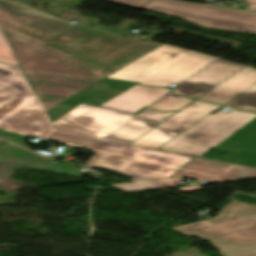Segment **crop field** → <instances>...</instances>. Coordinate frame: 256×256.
Wrapping results in <instances>:
<instances>
[{"instance_id": "14", "label": "crop field", "mask_w": 256, "mask_h": 256, "mask_svg": "<svg viewBox=\"0 0 256 256\" xmlns=\"http://www.w3.org/2000/svg\"><path fill=\"white\" fill-rule=\"evenodd\" d=\"M256 83V70L246 66L199 100L224 104Z\"/></svg>"}, {"instance_id": "22", "label": "crop field", "mask_w": 256, "mask_h": 256, "mask_svg": "<svg viewBox=\"0 0 256 256\" xmlns=\"http://www.w3.org/2000/svg\"><path fill=\"white\" fill-rule=\"evenodd\" d=\"M150 0H121L119 3L135 6L142 8L144 5H146Z\"/></svg>"}, {"instance_id": "19", "label": "crop field", "mask_w": 256, "mask_h": 256, "mask_svg": "<svg viewBox=\"0 0 256 256\" xmlns=\"http://www.w3.org/2000/svg\"><path fill=\"white\" fill-rule=\"evenodd\" d=\"M224 105L234 106L237 109L256 111V84Z\"/></svg>"}, {"instance_id": "13", "label": "crop field", "mask_w": 256, "mask_h": 256, "mask_svg": "<svg viewBox=\"0 0 256 256\" xmlns=\"http://www.w3.org/2000/svg\"><path fill=\"white\" fill-rule=\"evenodd\" d=\"M169 92V89L136 85L101 107L135 113Z\"/></svg>"}, {"instance_id": "26", "label": "crop field", "mask_w": 256, "mask_h": 256, "mask_svg": "<svg viewBox=\"0 0 256 256\" xmlns=\"http://www.w3.org/2000/svg\"><path fill=\"white\" fill-rule=\"evenodd\" d=\"M238 1H240V0H238Z\"/></svg>"}, {"instance_id": "9", "label": "crop field", "mask_w": 256, "mask_h": 256, "mask_svg": "<svg viewBox=\"0 0 256 256\" xmlns=\"http://www.w3.org/2000/svg\"><path fill=\"white\" fill-rule=\"evenodd\" d=\"M172 177H190L210 183L256 178V168L195 157Z\"/></svg>"}, {"instance_id": "15", "label": "crop field", "mask_w": 256, "mask_h": 256, "mask_svg": "<svg viewBox=\"0 0 256 256\" xmlns=\"http://www.w3.org/2000/svg\"><path fill=\"white\" fill-rule=\"evenodd\" d=\"M220 256H256V227L209 240Z\"/></svg>"}, {"instance_id": "16", "label": "crop field", "mask_w": 256, "mask_h": 256, "mask_svg": "<svg viewBox=\"0 0 256 256\" xmlns=\"http://www.w3.org/2000/svg\"><path fill=\"white\" fill-rule=\"evenodd\" d=\"M137 83L103 79L69 100L99 106Z\"/></svg>"}, {"instance_id": "23", "label": "crop field", "mask_w": 256, "mask_h": 256, "mask_svg": "<svg viewBox=\"0 0 256 256\" xmlns=\"http://www.w3.org/2000/svg\"><path fill=\"white\" fill-rule=\"evenodd\" d=\"M178 190L180 191V193H184V192L200 191L202 189L199 186H195V187L181 188Z\"/></svg>"}, {"instance_id": "11", "label": "crop field", "mask_w": 256, "mask_h": 256, "mask_svg": "<svg viewBox=\"0 0 256 256\" xmlns=\"http://www.w3.org/2000/svg\"><path fill=\"white\" fill-rule=\"evenodd\" d=\"M214 150L227 154L221 161L256 166V118Z\"/></svg>"}, {"instance_id": "10", "label": "crop field", "mask_w": 256, "mask_h": 256, "mask_svg": "<svg viewBox=\"0 0 256 256\" xmlns=\"http://www.w3.org/2000/svg\"><path fill=\"white\" fill-rule=\"evenodd\" d=\"M244 66L219 59L179 85L173 92L184 97L197 99L202 96L196 93L197 91L204 93L210 91Z\"/></svg>"}, {"instance_id": "25", "label": "crop field", "mask_w": 256, "mask_h": 256, "mask_svg": "<svg viewBox=\"0 0 256 256\" xmlns=\"http://www.w3.org/2000/svg\"><path fill=\"white\" fill-rule=\"evenodd\" d=\"M110 1H115V2H119L120 0H110Z\"/></svg>"}, {"instance_id": "18", "label": "crop field", "mask_w": 256, "mask_h": 256, "mask_svg": "<svg viewBox=\"0 0 256 256\" xmlns=\"http://www.w3.org/2000/svg\"><path fill=\"white\" fill-rule=\"evenodd\" d=\"M193 100L186 99L184 97L168 93L157 102L152 104L150 108H155L159 111H172V110H180L188 103Z\"/></svg>"}, {"instance_id": "5", "label": "crop field", "mask_w": 256, "mask_h": 256, "mask_svg": "<svg viewBox=\"0 0 256 256\" xmlns=\"http://www.w3.org/2000/svg\"><path fill=\"white\" fill-rule=\"evenodd\" d=\"M143 8L184 18L206 28L256 34V12L176 0H152Z\"/></svg>"}, {"instance_id": "4", "label": "crop field", "mask_w": 256, "mask_h": 256, "mask_svg": "<svg viewBox=\"0 0 256 256\" xmlns=\"http://www.w3.org/2000/svg\"><path fill=\"white\" fill-rule=\"evenodd\" d=\"M223 108L231 112L209 114L160 149L202 157L256 117V113Z\"/></svg>"}, {"instance_id": "12", "label": "crop field", "mask_w": 256, "mask_h": 256, "mask_svg": "<svg viewBox=\"0 0 256 256\" xmlns=\"http://www.w3.org/2000/svg\"><path fill=\"white\" fill-rule=\"evenodd\" d=\"M176 113H161L146 108L139 115L107 136L106 139L131 143Z\"/></svg>"}, {"instance_id": "20", "label": "crop field", "mask_w": 256, "mask_h": 256, "mask_svg": "<svg viewBox=\"0 0 256 256\" xmlns=\"http://www.w3.org/2000/svg\"><path fill=\"white\" fill-rule=\"evenodd\" d=\"M77 105H79V103L67 100V101L57 105L55 108H53L52 110H50L47 113L53 123L54 121L59 119L61 116H63L64 114H66L67 112H69L70 110L75 108Z\"/></svg>"}, {"instance_id": "7", "label": "crop field", "mask_w": 256, "mask_h": 256, "mask_svg": "<svg viewBox=\"0 0 256 256\" xmlns=\"http://www.w3.org/2000/svg\"><path fill=\"white\" fill-rule=\"evenodd\" d=\"M253 226H256V206L231 200L216 218L174 230L195 238L209 240Z\"/></svg>"}, {"instance_id": "2", "label": "crop field", "mask_w": 256, "mask_h": 256, "mask_svg": "<svg viewBox=\"0 0 256 256\" xmlns=\"http://www.w3.org/2000/svg\"><path fill=\"white\" fill-rule=\"evenodd\" d=\"M32 88V87H31ZM20 67L0 63V129L86 148L96 154L87 167L132 178L170 177L193 156L55 131Z\"/></svg>"}, {"instance_id": "17", "label": "crop field", "mask_w": 256, "mask_h": 256, "mask_svg": "<svg viewBox=\"0 0 256 256\" xmlns=\"http://www.w3.org/2000/svg\"><path fill=\"white\" fill-rule=\"evenodd\" d=\"M181 181L177 179L136 180L129 184H115L113 187L125 192H134L175 187Z\"/></svg>"}, {"instance_id": "24", "label": "crop field", "mask_w": 256, "mask_h": 256, "mask_svg": "<svg viewBox=\"0 0 256 256\" xmlns=\"http://www.w3.org/2000/svg\"><path fill=\"white\" fill-rule=\"evenodd\" d=\"M250 5L249 10H256V0H246Z\"/></svg>"}, {"instance_id": "1", "label": "crop field", "mask_w": 256, "mask_h": 256, "mask_svg": "<svg viewBox=\"0 0 256 256\" xmlns=\"http://www.w3.org/2000/svg\"><path fill=\"white\" fill-rule=\"evenodd\" d=\"M0 28L46 112L162 45L61 22L8 0H0Z\"/></svg>"}, {"instance_id": "21", "label": "crop field", "mask_w": 256, "mask_h": 256, "mask_svg": "<svg viewBox=\"0 0 256 256\" xmlns=\"http://www.w3.org/2000/svg\"><path fill=\"white\" fill-rule=\"evenodd\" d=\"M0 61L9 62V63L19 65L9 44L5 40L1 30H0Z\"/></svg>"}, {"instance_id": "8", "label": "crop field", "mask_w": 256, "mask_h": 256, "mask_svg": "<svg viewBox=\"0 0 256 256\" xmlns=\"http://www.w3.org/2000/svg\"><path fill=\"white\" fill-rule=\"evenodd\" d=\"M218 107H220V105L196 101L160 126L133 142V144L158 149L177 134L187 129Z\"/></svg>"}, {"instance_id": "3", "label": "crop field", "mask_w": 256, "mask_h": 256, "mask_svg": "<svg viewBox=\"0 0 256 256\" xmlns=\"http://www.w3.org/2000/svg\"><path fill=\"white\" fill-rule=\"evenodd\" d=\"M214 59L164 44L108 78L167 87L181 83Z\"/></svg>"}, {"instance_id": "6", "label": "crop field", "mask_w": 256, "mask_h": 256, "mask_svg": "<svg viewBox=\"0 0 256 256\" xmlns=\"http://www.w3.org/2000/svg\"><path fill=\"white\" fill-rule=\"evenodd\" d=\"M134 116L80 104L53 125L56 130L104 138Z\"/></svg>"}]
</instances>
